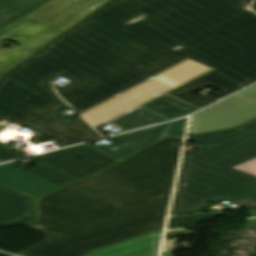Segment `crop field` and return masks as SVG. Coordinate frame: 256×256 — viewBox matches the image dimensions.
<instances>
[{
    "instance_id": "8a807250",
    "label": "crop field",
    "mask_w": 256,
    "mask_h": 256,
    "mask_svg": "<svg viewBox=\"0 0 256 256\" xmlns=\"http://www.w3.org/2000/svg\"><path fill=\"white\" fill-rule=\"evenodd\" d=\"M251 1L111 0L0 78V120L40 90L6 117L39 131L34 145L101 138L81 117L59 114L69 106L50 80L60 73L71 81L57 91L81 113L187 58L214 70L167 95L204 108L218 100L191 93L210 86L222 99L256 82Z\"/></svg>"
},
{
    "instance_id": "ac0d7876",
    "label": "crop field",
    "mask_w": 256,
    "mask_h": 256,
    "mask_svg": "<svg viewBox=\"0 0 256 256\" xmlns=\"http://www.w3.org/2000/svg\"><path fill=\"white\" fill-rule=\"evenodd\" d=\"M183 137L157 141L102 172L36 200L39 220L28 227L49 238L22 256H82L162 230ZM152 201V202H149Z\"/></svg>"
},
{
    "instance_id": "34b2d1b8",
    "label": "crop field",
    "mask_w": 256,
    "mask_h": 256,
    "mask_svg": "<svg viewBox=\"0 0 256 256\" xmlns=\"http://www.w3.org/2000/svg\"><path fill=\"white\" fill-rule=\"evenodd\" d=\"M187 139L204 147L182 158L170 216L203 212L208 202L221 200L256 210V177L231 168L256 157V120Z\"/></svg>"
},
{
    "instance_id": "412701ff",
    "label": "crop field",
    "mask_w": 256,
    "mask_h": 256,
    "mask_svg": "<svg viewBox=\"0 0 256 256\" xmlns=\"http://www.w3.org/2000/svg\"><path fill=\"white\" fill-rule=\"evenodd\" d=\"M256 117V85L193 116L189 134L236 127Z\"/></svg>"
},
{
    "instance_id": "f4fd0767",
    "label": "crop field",
    "mask_w": 256,
    "mask_h": 256,
    "mask_svg": "<svg viewBox=\"0 0 256 256\" xmlns=\"http://www.w3.org/2000/svg\"><path fill=\"white\" fill-rule=\"evenodd\" d=\"M177 86L155 76L83 113L96 129ZM160 96V95H159Z\"/></svg>"
},
{
    "instance_id": "dd49c442",
    "label": "crop field",
    "mask_w": 256,
    "mask_h": 256,
    "mask_svg": "<svg viewBox=\"0 0 256 256\" xmlns=\"http://www.w3.org/2000/svg\"><path fill=\"white\" fill-rule=\"evenodd\" d=\"M61 32L25 18L0 31V41L7 38L21 46L0 53V77ZM40 49V48H39Z\"/></svg>"
},
{
    "instance_id": "e52e79f7",
    "label": "crop field",
    "mask_w": 256,
    "mask_h": 256,
    "mask_svg": "<svg viewBox=\"0 0 256 256\" xmlns=\"http://www.w3.org/2000/svg\"><path fill=\"white\" fill-rule=\"evenodd\" d=\"M35 158L78 179L118 162L85 144L35 156Z\"/></svg>"
},
{
    "instance_id": "d8731c3e",
    "label": "crop field",
    "mask_w": 256,
    "mask_h": 256,
    "mask_svg": "<svg viewBox=\"0 0 256 256\" xmlns=\"http://www.w3.org/2000/svg\"><path fill=\"white\" fill-rule=\"evenodd\" d=\"M110 0H54L25 18L65 31Z\"/></svg>"
},
{
    "instance_id": "5a996713",
    "label": "crop field",
    "mask_w": 256,
    "mask_h": 256,
    "mask_svg": "<svg viewBox=\"0 0 256 256\" xmlns=\"http://www.w3.org/2000/svg\"><path fill=\"white\" fill-rule=\"evenodd\" d=\"M167 124L108 138L114 143L105 146L98 147L92 143L87 145L120 161L155 139L162 137Z\"/></svg>"
},
{
    "instance_id": "3316defc",
    "label": "crop field",
    "mask_w": 256,
    "mask_h": 256,
    "mask_svg": "<svg viewBox=\"0 0 256 256\" xmlns=\"http://www.w3.org/2000/svg\"><path fill=\"white\" fill-rule=\"evenodd\" d=\"M0 184L34 198L61 186L8 164L0 166Z\"/></svg>"
},
{
    "instance_id": "28ad6ade",
    "label": "crop field",
    "mask_w": 256,
    "mask_h": 256,
    "mask_svg": "<svg viewBox=\"0 0 256 256\" xmlns=\"http://www.w3.org/2000/svg\"><path fill=\"white\" fill-rule=\"evenodd\" d=\"M159 231V230H158ZM162 231L109 246L85 256H129L153 247L160 246Z\"/></svg>"
},
{
    "instance_id": "d1516ede",
    "label": "crop field",
    "mask_w": 256,
    "mask_h": 256,
    "mask_svg": "<svg viewBox=\"0 0 256 256\" xmlns=\"http://www.w3.org/2000/svg\"><path fill=\"white\" fill-rule=\"evenodd\" d=\"M52 0H0V30Z\"/></svg>"
},
{
    "instance_id": "22f410ed",
    "label": "crop field",
    "mask_w": 256,
    "mask_h": 256,
    "mask_svg": "<svg viewBox=\"0 0 256 256\" xmlns=\"http://www.w3.org/2000/svg\"><path fill=\"white\" fill-rule=\"evenodd\" d=\"M167 121L141 107L107 123L104 126H107L109 124L115 126L117 129L121 130L117 133L160 123ZM102 126V127H104ZM101 127V128H102ZM103 136H107L106 133L99 129H97ZM116 134V133H115Z\"/></svg>"
},
{
    "instance_id": "cbeb9de0",
    "label": "crop field",
    "mask_w": 256,
    "mask_h": 256,
    "mask_svg": "<svg viewBox=\"0 0 256 256\" xmlns=\"http://www.w3.org/2000/svg\"><path fill=\"white\" fill-rule=\"evenodd\" d=\"M169 120L192 114L201 108L169 97L167 95L143 106Z\"/></svg>"
},
{
    "instance_id": "5142ce71",
    "label": "crop field",
    "mask_w": 256,
    "mask_h": 256,
    "mask_svg": "<svg viewBox=\"0 0 256 256\" xmlns=\"http://www.w3.org/2000/svg\"><path fill=\"white\" fill-rule=\"evenodd\" d=\"M212 69L187 59L159 74L157 76L182 85Z\"/></svg>"
},
{
    "instance_id": "d9b57169",
    "label": "crop field",
    "mask_w": 256,
    "mask_h": 256,
    "mask_svg": "<svg viewBox=\"0 0 256 256\" xmlns=\"http://www.w3.org/2000/svg\"><path fill=\"white\" fill-rule=\"evenodd\" d=\"M33 199L25 194L0 185V205L34 217Z\"/></svg>"
},
{
    "instance_id": "733c2abd",
    "label": "crop field",
    "mask_w": 256,
    "mask_h": 256,
    "mask_svg": "<svg viewBox=\"0 0 256 256\" xmlns=\"http://www.w3.org/2000/svg\"><path fill=\"white\" fill-rule=\"evenodd\" d=\"M34 161H36V160H34ZM36 162H38V161H36ZM38 163L41 164L42 166L33 168V169L29 170L28 172H31L33 174H36L38 176H41V177L46 178L48 180H51V181H53V182H55L59 185H62V186L67 184V183H70L72 181L77 180V179H75V178H73L69 175H66V174H64V173L46 165V164H43L41 162H38ZM8 164L27 171L26 169L18 166L14 162H11V163H8Z\"/></svg>"
},
{
    "instance_id": "4a817a6b",
    "label": "crop field",
    "mask_w": 256,
    "mask_h": 256,
    "mask_svg": "<svg viewBox=\"0 0 256 256\" xmlns=\"http://www.w3.org/2000/svg\"><path fill=\"white\" fill-rule=\"evenodd\" d=\"M220 216H224L223 212L221 213L211 212V213L173 217L169 219L167 229L173 230V229L194 227L201 220H207L213 217H220Z\"/></svg>"
},
{
    "instance_id": "bc2a9ffb",
    "label": "crop field",
    "mask_w": 256,
    "mask_h": 256,
    "mask_svg": "<svg viewBox=\"0 0 256 256\" xmlns=\"http://www.w3.org/2000/svg\"><path fill=\"white\" fill-rule=\"evenodd\" d=\"M34 218L0 206V226L25 224Z\"/></svg>"
},
{
    "instance_id": "214f88e0",
    "label": "crop field",
    "mask_w": 256,
    "mask_h": 256,
    "mask_svg": "<svg viewBox=\"0 0 256 256\" xmlns=\"http://www.w3.org/2000/svg\"><path fill=\"white\" fill-rule=\"evenodd\" d=\"M186 122H187V118L180 120V121L173 122L170 126V129H169L166 137L183 135L185 126H186Z\"/></svg>"
},
{
    "instance_id": "92a150f3",
    "label": "crop field",
    "mask_w": 256,
    "mask_h": 256,
    "mask_svg": "<svg viewBox=\"0 0 256 256\" xmlns=\"http://www.w3.org/2000/svg\"><path fill=\"white\" fill-rule=\"evenodd\" d=\"M233 168H236L238 170H241L256 176V158L248 162L242 163L240 165H237Z\"/></svg>"
},
{
    "instance_id": "dafd665d",
    "label": "crop field",
    "mask_w": 256,
    "mask_h": 256,
    "mask_svg": "<svg viewBox=\"0 0 256 256\" xmlns=\"http://www.w3.org/2000/svg\"><path fill=\"white\" fill-rule=\"evenodd\" d=\"M23 157L21 154L0 147V161L5 162Z\"/></svg>"
},
{
    "instance_id": "00972430",
    "label": "crop field",
    "mask_w": 256,
    "mask_h": 256,
    "mask_svg": "<svg viewBox=\"0 0 256 256\" xmlns=\"http://www.w3.org/2000/svg\"><path fill=\"white\" fill-rule=\"evenodd\" d=\"M158 251H159V247L153 248V249H150V250H147V251H144V252L132 255V256H158Z\"/></svg>"
},
{
    "instance_id": "a9b5d70f",
    "label": "crop field",
    "mask_w": 256,
    "mask_h": 256,
    "mask_svg": "<svg viewBox=\"0 0 256 256\" xmlns=\"http://www.w3.org/2000/svg\"><path fill=\"white\" fill-rule=\"evenodd\" d=\"M162 256H173L171 253H162Z\"/></svg>"
},
{
    "instance_id": "4177f3b9",
    "label": "crop field",
    "mask_w": 256,
    "mask_h": 256,
    "mask_svg": "<svg viewBox=\"0 0 256 256\" xmlns=\"http://www.w3.org/2000/svg\"><path fill=\"white\" fill-rule=\"evenodd\" d=\"M252 9H253L254 11H256V1H255L254 5L252 6Z\"/></svg>"
},
{
    "instance_id": "730fd06b",
    "label": "crop field",
    "mask_w": 256,
    "mask_h": 256,
    "mask_svg": "<svg viewBox=\"0 0 256 256\" xmlns=\"http://www.w3.org/2000/svg\"><path fill=\"white\" fill-rule=\"evenodd\" d=\"M4 49H5V48H3V47L0 46V52H1L2 50H4Z\"/></svg>"
}]
</instances>
